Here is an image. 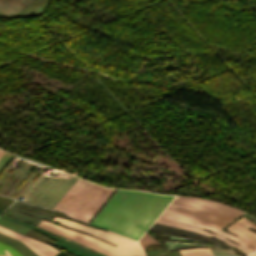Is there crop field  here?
I'll use <instances>...</instances> for the list:
<instances>
[{"mask_svg": "<svg viewBox=\"0 0 256 256\" xmlns=\"http://www.w3.org/2000/svg\"><path fill=\"white\" fill-rule=\"evenodd\" d=\"M173 197L118 189L91 224L138 240Z\"/></svg>", "mask_w": 256, "mask_h": 256, "instance_id": "obj_1", "label": "crop field"}, {"mask_svg": "<svg viewBox=\"0 0 256 256\" xmlns=\"http://www.w3.org/2000/svg\"><path fill=\"white\" fill-rule=\"evenodd\" d=\"M53 221L61 223L70 228H75V229L90 233L94 236H97L106 241H109L117 246L114 247L108 243L102 242L100 240L94 239L92 237L83 235L75 231L48 223L44 220H42L39 227L58 233L60 235H65L78 242L88 245L94 249L104 252L110 256H144V253L141 247L139 246L138 242L134 240L128 239L126 237L115 234L113 232H105V231L97 230V229L87 227L78 223H74L63 218L55 217Z\"/></svg>", "mask_w": 256, "mask_h": 256, "instance_id": "obj_2", "label": "crop field"}, {"mask_svg": "<svg viewBox=\"0 0 256 256\" xmlns=\"http://www.w3.org/2000/svg\"><path fill=\"white\" fill-rule=\"evenodd\" d=\"M244 212L215 201L176 195L163 213L221 229Z\"/></svg>", "mask_w": 256, "mask_h": 256, "instance_id": "obj_3", "label": "crop field"}, {"mask_svg": "<svg viewBox=\"0 0 256 256\" xmlns=\"http://www.w3.org/2000/svg\"><path fill=\"white\" fill-rule=\"evenodd\" d=\"M114 190L78 178L54 209L88 223Z\"/></svg>", "mask_w": 256, "mask_h": 256, "instance_id": "obj_4", "label": "crop field"}, {"mask_svg": "<svg viewBox=\"0 0 256 256\" xmlns=\"http://www.w3.org/2000/svg\"><path fill=\"white\" fill-rule=\"evenodd\" d=\"M0 232L5 233L11 237H14L21 242H23L27 247H29L32 251H34L39 256H54L58 251L54 248L41 243L39 241H36L34 239H31L29 237H24L20 234H17L13 231H10L8 229H5L0 226Z\"/></svg>", "mask_w": 256, "mask_h": 256, "instance_id": "obj_5", "label": "crop field"}, {"mask_svg": "<svg viewBox=\"0 0 256 256\" xmlns=\"http://www.w3.org/2000/svg\"><path fill=\"white\" fill-rule=\"evenodd\" d=\"M150 228L153 230H156V231L166 232V233H170L173 235L196 238V239H200V240H204V241H208V242H213V243L229 246L227 244H222L216 240L210 239V238L200 235L198 233H194V232H190V231H186V230H182V229H178V228H173V227H169V226H165V225H161V224H157V223H154Z\"/></svg>", "mask_w": 256, "mask_h": 256, "instance_id": "obj_6", "label": "crop field"}, {"mask_svg": "<svg viewBox=\"0 0 256 256\" xmlns=\"http://www.w3.org/2000/svg\"><path fill=\"white\" fill-rule=\"evenodd\" d=\"M182 256H210L212 253L209 249L206 248H198V249H186L179 250Z\"/></svg>", "mask_w": 256, "mask_h": 256, "instance_id": "obj_7", "label": "crop field"}, {"mask_svg": "<svg viewBox=\"0 0 256 256\" xmlns=\"http://www.w3.org/2000/svg\"><path fill=\"white\" fill-rule=\"evenodd\" d=\"M7 250L11 256H22L21 254H19L15 249H13L12 247L3 244L0 242V254H5L3 251Z\"/></svg>", "mask_w": 256, "mask_h": 256, "instance_id": "obj_8", "label": "crop field"}, {"mask_svg": "<svg viewBox=\"0 0 256 256\" xmlns=\"http://www.w3.org/2000/svg\"><path fill=\"white\" fill-rule=\"evenodd\" d=\"M14 200L9 199L4 196H0V213L9 205L13 202Z\"/></svg>", "mask_w": 256, "mask_h": 256, "instance_id": "obj_9", "label": "crop field"}, {"mask_svg": "<svg viewBox=\"0 0 256 256\" xmlns=\"http://www.w3.org/2000/svg\"><path fill=\"white\" fill-rule=\"evenodd\" d=\"M55 256H69V255H67V254H65V253H63V252H59L58 254H56Z\"/></svg>", "mask_w": 256, "mask_h": 256, "instance_id": "obj_10", "label": "crop field"}, {"mask_svg": "<svg viewBox=\"0 0 256 256\" xmlns=\"http://www.w3.org/2000/svg\"><path fill=\"white\" fill-rule=\"evenodd\" d=\"M7 255H0V256H10L9 253L5 250L4 251Z\"/></svg>", "mask_w": 256, "mask_h": 256, "instance_id": "obj_11", "label": "crop field"}, {"mask_svg": "<svg viewBox=\"0 0 256 256\" xmlns=\"http://www.w3.org/2000/svg\"><path fill=\"white\" fill-rule=\"evenodd\" d=\"M249 256H256V251L253 254L249 255Z\"/></svg>", "mask_w": 256, "mask_h": 256, "instance_id": "obj_12", "label": "crop field"}, {"mask_svg": "<svg viewBox=\"0 0 256 256\" xmlns=\"http://www.w3.org/2000/svg\"><path fill=\"white\" fill-rule=\"evenodd\" d=\"M3 153H4V151H1V150H0V157L2 156Z\"/></svg>", "mask_w": 256, "mask_h": 256, "instance_id": "obj_13", "label": "crop field"}]
</instances>
